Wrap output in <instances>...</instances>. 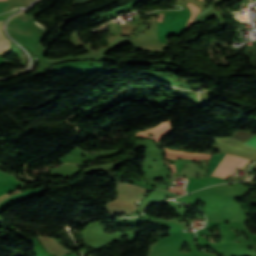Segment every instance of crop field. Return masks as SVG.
I'll use <instances>...</instances> for the list:
<instances>
[{"label": "crop field", "instance_id": "1", "mask_svg": "<svg viewBox=\"0 0 256 256\" xmlns=\"http://www.w3.org/2000/svg\"><path fill=\"white\" fill-rule=\"evenodd\" d=\"M248 161V159L231 155H213V158L209 164V175H216L226 178L235 172L237 168H242V166Z\"/></svg>", "mask_w": 256, "mask_h": 256}, {"label": "crop field", "instance_id": "2", "mask_svg": "<svg viewBox=\"0 0 256 256\" xmlns=\"http://www.w3.org/2000/svg\"><path fill=\"white\" fill-rule=\"evenodd\" d=\"M164 149L166 151L165 160H166V158L176 159V157H181L182 159H197L198 160V158L209 159V157L211 156L209 154H195V153H186V152H183V151H172V150H169L167 148H164ZM170 161L175 162L176 170H177V172H179L180 169H181V166L183 164L190 163L192 160H170ZM169 166H170L172 172H176L175 167H174L173 164H169Z\"/></svg>", "mask_w": 256, "mask_h": 256}, {"label": "crop field", "instance_id": "3", "mask_svg": "<svg viewBox=\"0 0 256 256\" xmlns=\"http://www.w3.org/2000/svg\"><path fill=\"white\" fill-rule=\"evenodd\" d=\"M161 14H165V18L164 15H160L159 22L163 21V18L164 22L158 23V39L163 43H168L166 35L172 34L173 13Z\"/></svg>", "mask_w": 256, "mask_h": 256}, {"label": "crop field", "instance_id": "4", "mask_svg": "<svg viewBox=\"0 0 256 256\" xmlns=\"http://www.w3.org/2000/svg\"><path fill=\"white\" fill-rule=\"evenodd\" d=\"M172 131L171 126L169 121L167 122H163L162 124L146 131V132H139L137 135H141V136H147L149 137V135H147V133H153L154 136L151 137L153 139H156L159 143V141L168 133H170Z\"/></svg>", "mask_w": 256, "mask_h": 256}, {"label": "crop field", "instance_id": "5", "mask_svg": "<svg viewBox=\"0 0 256 256\" xmlns=\"http://www.w3.org/2000/svg\"><path fill=\"white\" fill-rule=\"evenodd\" d=\"M189 182L187 184L186 190L187 192L203 187L208 185H213L220 182H225L220 178H214V177H206V178H199V179H190L188 178ZM229 181V180H227Z\"/></svg>", "mask_w": 256, "mask_h": 256}, {"label": "crop field", "instance_id": "6", "mask_svg": "<svg viewBox=\"0 0 256 256\" xmlns=\"http://www.w3.org/2000/svg\"><path fill=\"white\" fill-rule=\"evenodd\" d=\"M3 22H0V26ZM10 47L8 38L0 30V54L8 50Z\"/></svg>", "mask_w": 256, "mask_h": 256}, {"label": "crop field", "instance_id": "7", "mask_svg": "<svg viewBox=\"0 0 256 256\" xmlns=\"http://www.w3.org/2000/svg\"><path fill=\"white\" fill-rule=\"evenodd\" d=\"M170 191L174 192V193H178V194H184L185 190L183 187H176V188H170Z\"/></svg>", "mask_w": 256, "mask_h": 256}, {"label": "crop field", "instance_id": "8", "mask_svg": "<svg viewBox=\"0 0 256 256\" xmlns=\"http://www.w3.org/2000/svg\"><path fill=\"white\" fill-rule=\"evenodd\" d=\"M247 144H249V145H251V146H253V147H256V136H252V137L248 140Z\"/></svg>", "mask_w": 256, "mask_h": 256}]
</instances>
